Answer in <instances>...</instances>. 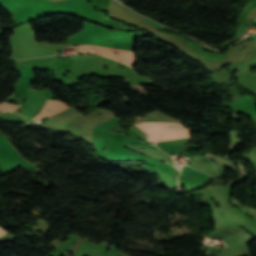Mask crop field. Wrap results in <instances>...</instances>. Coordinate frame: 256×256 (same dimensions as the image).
<instances>
[{"mask_svg":"<svg viewBox=\"0 0 256 256\" xmlns=\"http://www.w3.org/2000/svg\"><path fill=\"white\" fill-rule=\"evenodd\" d=\"M79 48L80 51H77L76 53H96L107 56L109 58H112L114 60L120 61L131 66L134 64L133 57L131 55V52L129 51L92 45H83L79 46Z\"/></svg>","mask_w":256,"mask_h":256,"instance_id":"crop-field-1","label":"crop field"},{"mask_svg":"<svg viewBox=\"0 0 256 256\" xmlns=\"http://www.w3.org/2000/svg\"><path fill=\"white\" fill-rule=\"evenodd\" d=\"M68 108L67 105L59 102V101H56V100H53V101H50V100H47L44 108L41 110V112L36 116L34 117L33 119L35 120H40L44 117H47V116H50L52 114H55L57 112H60L64 109ZM51 110L50 112H48V110Z\"/></svg>","mask_w":256,"mask_h":256,"instance_id":"crop-field-2","label":"crop field"},{"mask_svg":"<svg viewBox=\"0 0 256 256\" xmlns=\"http://www.w3.org/2000/svg\"><path fill=\"white\" fill-rule=\"evenodd\" d=\"M19 105H8L6 103L0 104V111H15Z\"/></svg>","mask_w":256,"mask_h":256,"instance_id":"crop-field-3","label":"crop field"},{"mask_svg":"<svg viewBox=\"0 0 256 256\" xmlns=\"http://www.w3.org/2000/svg\"><path fill=\"white\" fill-rule=\"evenodd\" d=\"M6 231H4L3 229L0 228V236L5 235Z\"/></svg>","mask_w":256,"mask_h":256,"instance_id":"crop-field-4","label":"crop field"},{"mask_svg":"<svg viewBox=\"0 0 256 256\" xmlns=\"http://www.w3.org/2000/svg\"><path fill=\"white\" fill-rule=\"evenodd\" d=\"M175 134V133H174ZM168 135H171V134H168ZM162 136H164V135H162Z\"/></svg>","mask_w":256,"mask_h":256,"instance_id":"crop-field-5","label":"crop field"}]
</instances>
